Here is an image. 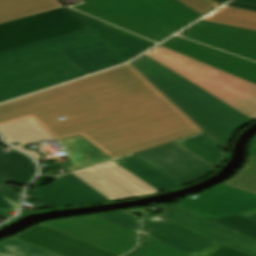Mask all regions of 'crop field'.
I'll list each match as a JSON object with an SVG mask.
<instances>
[{
	"label": "crop field",
	"mask_w": 256,
	"mask_h": 256,
	"mask_svg": "<svg viewBox=\"0 0 256 256\" xmlns=\"http://www.w3.org/2000/svg\"><path fill=\"white\" fill-rule=\"evenodd\" d=\"M0 132L35 159L57 140L71 172L203 130L128 64L0 105Z\"/></svg>",
	"instance_id": "1"
},
{
	"label": "crop field",
	"mask_w": 256,
	"mask_h": 256,
	"mask_svg": "<svg viewBox=\"0 0 256 256\" xmlns=\"http://www.w3.org/2000/svg\"><path fill=\"white\" fill-rule=\"evenodd\" d=\"M130 64L218 145H230L237 130L255 121L145 55Z\"/></svg>",
	"instance_id": "2"
},
{
	"label": "crop field",
	"mask_w": 256,
	"mask_h": 256,
	"mask_svg": "<svg viewBox=\"0 0 256 256\" xmlns=\"http://www.w3.org/2000/svg\"><path fill=\"white\" fill-rule=\"evenodd\" d=\"M72 8L157 42L202 17L175 0H91Z\"/></svg>",
	"instance_id": "3"
},
{
	"label": "crop field",
	"mask_w": 256,
	"mask_h": 256,
	"mask_svg": "<svg viewBox=\"0 0 256 256\" xmlns=\"http://www.w3.org/2000/svg\"><path fill=\"white\" fill-rule=\"evenodd\" d=\"M148 57L256 120V85L161 46Z\"/></svg>",
	"instance_id": "4"
},
{
	"label": "crop field",
	"mask_w": 256,
	"mask_h": 256,
	"mask_svg": "<svg viewBox=\"0 0 256 256\" xmlns=\"http://www.w3.org/2000/svg\"><path fill=\"white\" fill-rule=\"evenodd\" d=\"M86 75L60 51L0 68V103Z\"/></svg>",
	"instance_id": "5"
},
{
	"label": "crop field",
	"mask_w": 256,
	"mask_h": 256,
	"mask_svg": "<svg viewBox=\"0 0 256 256\" xmlns=\"http://www.w3.org/2000/svg\"><path fill=\"white\" fill-rule=\"evenodd\" d=\"M66 7L0 25V52L87 29Z\"/></svg>",
	"instance_id": "6"
},
{
	"label": "crop field",
	"mask_w": 256,
	"mask_h": 256,
	"mask_svg": "<svg viewBox=\"0 0 256 256\" xmlns=\"http://www.w3.org/2000/svg\"><path fill=\"white\" fill-rule=\"evenodd\" d=\"M44 224L120 256L138 245L137 234L96 216L70 218Z\"/></svg>",
	"instance_id": "7"
},
{
	"label": "crop field",
	"mask_w": 256,
	"mask_h": 256,
	"mask_svg": "<svg viewBox=\"0 0 256 256\" xmlns=\"http://www.w3.org/2000/svg\"><path fill=\"white\" fill-rule=\"evenodd\" d=\"M135 154L183 185L213 172L211 165L175 143Z\"/></svg>",
	"instance_id": "8"
},
{
	"label": "crop field",
	"mask_w": 256,
	"mask_h": 256,
	"mask_svg": "<svg viewBox=\"0 0 256 256\" xmlns=\"http://www.w3.org/2000/svg\"><path fill=\"white\" fill-rule=\"evenodd\" d=\"M177 205L208 219L256 210V194L220 184Z\"/></svg>",
	"instance_id": "9"
},
{
	"label": "crop field",
	"mask_w": 256,
	"mask_h": 256,
	"mask_svg": "<svg viewBox=\"0 0 256 256\" xmlns=\"http://www.w3.org/2000/svg\"><path fill=\"white\" fill-rule=\"evenodd\" d=\"M164 213L157 215L241 252L256 256V240L192 213L177 205H160Z\"/></svg>",
	"instance_id": "10"
},
{
	"label": "crop field",
	"mask_w": 256,
	"mask_h": 256,
	"mask_svg": "<svg viewBox=\"0 0 256 256\" xmlns=\"http://www.w3.org/2000/svg\"><path fill=\"white\" fill-rule=\"evenodd\" d=\"M185 38L256 61V32L198 22L181 32Z\"/></svg>",
	"instance_id": "11"
},
{
	"label": "crop field",
	"mask_w": 256,
	"mask_h": 256,
	"mask_svg": "<svg viewBox=\"0 0 256 256\" xmlns=\"http://www.w3.org/2000/svg\"><path fill=\"white\" fill-rule=\"evenodd\" d=\"M42 208L110 202L72 173L57 177L53 182L34 190Z\"/></svg>",
	"instance_id": "12"
},
{
	"label": "crop field",
	"mask_w": 256,
	"mask_h": 256,
	"mask_svg": "<svg viewBox=\"0 0 256 256\" xmlns=\"http://www.w3.org/2000/svg\"><path fill=\"white\" fill-rule=\"evenodd\" d=\"M161 46L256 84V63L177 36L168 40Z\"/></svg>",
	"instance_id": "13"
},
{
	"label": "crop field",
	"mask_w": 256,
	"mask_h": 256,
	"mask_svg": "<svg viewBox=\"0 0 256 256\" xmlns=\"http://www.w3.org/2000/svg\"><path fill=\"white\" fill-rule=\"evenodd\" d=\"M14 238L65 256H118L44 224Z\"/></svg>",
	"instance_id": "14"
},
{
	"label": "crop field",
	"mask_w": 256,
	"mask_h": 256,
	"mask_svg": "<svg viewBox=\"0 0 256 256\" xmlns=\"http://www.w3.org/2000/svg\"><path fill=\"white\" fill-rule=\"evenodd\" d=\"M145 236L190 256L220 244L155 215L149 217Z\"/></svg>",
	"instance_id": "15"
},
{
	"label": "crop field",
	"mask_w": 256,
	"mask_h": 256,
	"mask_svg": "<svg viewBox=\"0 0 256 256\" xmlns=\"http://www.w3.org/2000/svg\"><path fill=\"white\" fill-rule=\"evenodd\" d=\"M100 39L90 29L51 38L11 51L0 53V67L21 62L54 51Z\"/></svg>",
	"instance_id": "16"
},
{
	"label": "crop field",
	"mask_w": 256,
	"mask_h": 256,
	"mask_svg": "<svg viewBox=\"0 0 256 256\" xmlns=\"http://www.w3.org/2000/svg\"><path fill=\"white\" fill-rule=\"evenodd\" d=\"M68 9L127 61L141 54L136 52L137 49L140 48L146 51L157 45L128 32L87 17L70 8Z\"/></svg>",
	"instance_id": "17"
},
{
	"label": "crop field",
	"mask_w": 256,
	"mask_h": 256,
	"mask_svg": "<svg viewBox=\"0 0 256 256\" xmlns=\"http://www.w3.org/2000/svg\"><path fill=\"white\" fill-rule=\"evenodd\" d=\"M87 75L126 62L102 39L61 50Z\"/></svg>",
	"instance_id": "18"
},
{
	"label": "crop field",
	"mask_w": 256,
	"mask_h": 256,
	"mask_svg": "<svg viewBox=\"0 0 256 256\" xmlns=\"http://www.w3.org/2000/svg\"><path fill=\"white\" fill-rule=\"evenodd\" d=\"M114 161L161 192L183 187L134 154Z\"/></svg>",
	"instance_id": "19"
},
{
	"label": "crop field",
	"mask_w": 256,
	"mask_h": 256,
	"mask_svg": "<svg viewBox=\"0 0 256 256\" xmlns=\"http://www.w3.org/2000/svg\"><path fill=\"white\" fill-rule=\"evenodd\" d=\"M59 7L57 0H0V23Z\"/></svg>",
	"instance_id": "20"
},
{
	"label": "crop field",
	"mask_w": 256,
	"mask_h": 256,
	"mask_svg": "<svg viewBox=\"0 0 256 256\" xmlns=\"http://www.w3.org/2000/svg\"><path fill=\"white\" fill-rule=\"evenodd\" d=\"M93 167L136 197L159 193L158 190L113 161Z\"/></svg>",
	"instance_id": "21"
},
{
	"label": "crop field",
	"mask_w": 256,
	"mask_h": 256,
	"mask_svg": "<svg viewBox=\"0 0 256 256\" xmlns=\"http://www.w3.org/2000/svg\"><path fill=\"white\" fill-rule=\"evenodd\" d=\"M35 172L34 163L23 154L17 151L7 155L0 153V174L12 183L26 186Z\"/></svg>",
	"instance_id": "22"
},
{
	"label": "crop field",
	"mask_w": 256,
	"mask_h": 256,
	"mask_svg": "<svg viewBox=\"0 0 256 256\" xmlns=\"http://www.w3.org/2000/svg\"><path fill=\"white\" fill-rule=\"evenodd\" d=\"M176 141L216 168L227 156L204 132Z\"/></svg>",
	"instance_id": "23"
},
{
	"label": "crop field",
	"mask_w": 256,
	"mask_h": 256,
	"mask_svg": "<svg viewBox=\"0 0 256 256\" xmlns=\"http://www.w3.org/2000/svg\"><path fill=\"white\" fill-rule=\"evenodd\" d=\"M73 173L111 201L134 197L92 167Z\"/></svg>",
	"instance_id": "24"
},
{
	"label": "crop field",
	"mask_w": 256,
	"mask_h": 256,
	"mask_svg": "<svg viewBox=\"0 0 256 256\" xmlns=\"http://www.w3.org/2000/svg\"><path fill=\"white\" fill-rule=\"evenodd\" d=\"M203 21L256 31V12L246 9L225 6L205 17Z\"/></svg>",
	"instance_id": "25"
},
{
	"label": "crop field",
	"mask_w": 256,
	"mask_h": 256,
	"mask_svg": "<svg viewBox=\"0 0 256 256\" xmlns=\"http://www.w3.org/2000/svg\"><path fill=\"white\" fill-rule=\"evenodd\" d=\"M0 256H62L17 239L0 243Z\"/></svg>",
	"instance_id": "26"
},
{
	"label": "crop field",
	"mask_w": 256,
	"mask_h": 256,
	"mask_svg": "<svg viewBox=\"0 0 256 256\" xmlns=\"http://www.w3.org/2000/svg\"><path fill=\"white\" fill-rule=\"evenodd\" d=\"M223 184L256 193V157L251 155L245 168Z\"/></svg>",
	"instance_id": "27"
},
{
	"label": "crop field",
	"mask_w": 256,
	"mask_h": 256,
	"mask_svg": "<svg viewBox=\"0 0 256 256\" xmlns=\"http://www.w3.org/2000/svg\"><path fill=\"white\" fill-rule=\"evenodd\" d=\"M212 220L256 239V222L248 218L235 214Z\"/></svg>",
	"instance_id": "28"
},
{
	"label": "crop field",
	"mask_w": 256,
	"mask_h": 256,
	"mask_svg": "<svg viewBox=\"0 0 256 256\" xmlns=\"http://www.w3.org/2000/svg\"><path fill=\"white\" fill-rule=\"evenodd\" d=\"M134 211H142L145 213V211L141 209H136V210L121 211V212H115V213H109V214H103V215H97V216L138 234L141 220L134 215L128 214V212H134Z\"/></svg>",
	"instance_id": "29"
},
{
	"label": "crop field",
	"mask_w": 256,
	"mask_h": 256,
	"mask_svg": "<svg viewBox=\"0 0 256 256\" xmlns=\"http://www.w3.org/2000/svg\"><path fill=\"white\" fill-rule=\"evenodd\" d=\"M143 241L147 245L130 256H188L146 237Z\"/></svg>",
	"instance_id": "30"
},
{
	"label": "crop field",
	"mask_w": 256,
	"mask_h": 256,
	"mask_svg": "<svg viewBox=\"0 0 256 256\" xmlns=\"http://www.w3.org/2000/svg\"><path fill=\"white\" fill-rule=\"evenodd\" d=\"M200 15H205L222 5L215 0H177Z\"/></svg>",
	"instance_id": "31"
},
{
	"label": "crop field",
	"mask_w": 256,
	"mask_h": 256,
	"mask_svg": "<svg viewBox=\"0 0 256 256\" xmlns=\"http://www.w3.org/2000/svg\"><path fill=\"white\" fill-rule=\"evenodd\" d=\"M199 256H248V255L221 244Z\"/></svg>",
	"instance_id": "32"
},
{
	"label": "crop field",
	"mask_w": 256,
	"mask_h": 256,
	"mask_svg": "<svg viewBox=\"0 0 256 256\" xmlns=\"http://www.w3.org/2000/svg\"><path fill=\"white\" fill-rule=\"evenodd\" d=\"M9 200L0 194V218L3 220L11 217V215H8L10 212H18L19 210V207H17L18 205L16 206L13 204L14 202L12 203Z\"/></svg>",
	"instance_id": "33"
},
{
	"label": "crop field",
	"mask_w": 256,
	"mask_h": 256,
	"mask_svg": "<svg viewBox=\"0 0 256 256\" xmlns=\"http://www.w3.org/2000/svg\"><path fill=\"white\" fill-rule=\"evenodd\" d=\"M5 183H11L0 175V193L10 199L16 205L20 206L21 193L2 187Z\"/></svg>",
	"instance_id": "34"
},
{
	"label": "crop field",
	"mask_w": 256,
	"mask_h": 256,
	"mask_svg": "<svg viewBox=\"0 0 256 256\" xmlns=\"http://www.w3.org/2000/svg\"><path fill=\"white\" fill-rule=\"evenodd\" d=\"M228 5L230 6H235V7H240V8H246V9H251L256 11V6L252 5H247V4H242V3H236V2H231Z\"/></svg>",
	"instance_id": "35"
},
{
	"label": "crop field",
	"mask_w": 256,
	"mask_h": 256,
	"mask_svg": "<svg viewBox=\"0 0 256 256\" xmlns=\"http://www.w3.org/2000/svg\"><path fill=\"white\" fill-rule=\"evenodd\" d=\"M241 215L256 221V211H254V212H247V213H241Z\"/></svg>",
	"instance_id": "36"
},
{
	"label": "crop field",
	"mask_w": 256,
	"mask_h": 256,
	"mask_svg": "<svg viewBox=\"0 0 256 256\" xmlns=\"http://www.w3.org/2000/svg\"><path fill=\"white\" fill-rule=\"evenodd\" d=\"M249 154L256 155V139L253 141V143L250 146Z\"/></svg>",
	"instance_id": "37"
},
{
	"label": "crop field",
	"mask_w": 256,
	"mask_h": 256,
	"mask_svg": "<svg viewBox=\"0 0 256 256\" xmlns=\"http://www.w3.org/2000/svg\"><path fill=\"white\" fill-rule=\"evenodd\" d=\"M234 1L256 5V0H234Z\"/></svg>",
	"instance_id": "38"
},
{
	"label": "crop field",
	"mask_w": 256,
	"mask_h": 256,
	"mask_svg": "<svg viewBox=\"0 0 256 256\" xmlns=\"http://www.w3.org/2000/svg\"><path fill=\"white\" fill-rule=\"evenodd\" d=\"M217 1H219L220 3H225V2H227V1H229V0H217Z\"/></svg>",
	"instance_id": "39"
}]
</instances>
